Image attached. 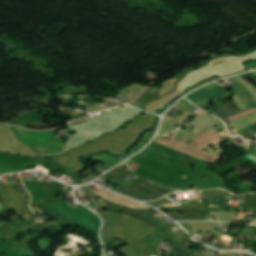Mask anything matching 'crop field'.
I'll return each instance as SVG.
<instances>
[{
  "label": "crop field",
  "mask_w": 256,
  "mask_h": 256,
  "mask_svg": "<svg viewBox=\"0 0 256 256\" xmlns=\"http://www.w3.org/2000/svg\"><path fill=\"white\" fill-rule=\"evenodd\" d=\"M47 205L50 206L53 210L76 220L84 226H87L95 233L98 232L100 219L87 208L81 206L75 209L64 202H54Z\"/></svg>",
  "instance_id": "8a807250"
},
{
  "label": "crop field",
  "mask_w": 256,
  "mask_h": 256,
  "mask_svg": "<svg viewBox=\"0 0 256 256\" xmlns=\"http://www.w3.org/2000/svg\"><path fill=\"white\" fill-rule=\"evenodd\" d=\"M163 154H166L169 157H166ZM139 155L154 158L179 171L187 164L189 160L185 158V155L179 154L155 142H152L151 145L143 150L141 153H139Z\"/></svg>",
  "instance_id": "ac0d7876"
},
{
  "label": "crop field",
  "mask_w": 256,
  "mask_h": 256,
  "mask_svg": "<svg viewBox=\"0 0 256 256\" xmlns=\"http://www.w3.org/2000/svg\"><path fill=\"white\" fill-rule=\"evenodd\" d=\"M177 190L160 188L159 186L139 178L123 194L138 200H156Z\"/></svg>",
  "instance_id": "34b2d1b8"
},
{
  "label": "crop field",
  "mask_w": 256,
  "mask_h": 256,
  "mask_svg": "<svg viewBox=\"0 0 256 256\" xmlns=\"http://www.w3.org/2000/svg\"><path fill=\"white\" fill-rule=\"evenodd\" d=\"M217 87L219 86L216 83H214L212 85L206 86L202 89L193 92L186 98L199 107L209 101L231 94L227 93L223 89L219 90Z\"/></svg>",
  "instance_id": "412701ff"
},
{
  "label": "crop field",
  "mask_w": 256,
  "mask_h": 256,
  "mask_svg": "<svg viewBox=\"0 0 256 256\" xmlns=\"http://www.w3.org/2000/svg\"><path fill=\"white\" fill-rule=\"evenodd\" d=\"M235 85L231 86L235 94L242 101V103L246 106L247 109L256 107V101L253 97L247 92V90L243 87V85L238 81L237 78L232 79ZM233 98V101L238 105L241 110H245V106L241 103V101L237 98V96Z\"/></svg>",
  "instance_id": "f4fd0767"
},
{
  "label": "crop field",
  "mask_w": 256,
  "mask_h": 256,
  "mask_svg": "<svg viewBox=\"0 0 256 256\" xmlns=\"http://www.w3.org/2000/svg\"><path fill=\"white\" fill-rule=\"evenodd\" d=\"M92 190L94 191L95 195H97L99 197H102V198H105L107 200H110V201H112L116 204H121V205H125V206H128V207H135V208H140V209L150 208L146 205H143V204H140L138 202L132 201L130 199L124 198L122 196H119L117 194H114L112 192L104 190L102 188H100L98 191L94 190V189H92Z\"/></svg>",
  "instance_id": "dd49c442"
},
{
  "label": "crop field",
  "mask_w": 256,
  "mask_h": 256,
  "mask_svg": "<svg viewBox=\"0 0 256 256\" xmlns=\"http://www.w3.org/2000/svg\"><path fill=\"white\" fill-rule=\"evenodd\" d=\"M256 112V108L252 109V110H249V111H246L244 113H240L238 115H235L231 118H229V121L232 122L234 120H237L239 118H242L244 116H247V115H250L252 113H255ZM256 123V113L255 114H252L250 116H247L245 118H242V119H239L237 121H234L232 122L231 124L233 125V127L235 129H237L238 131L250 126V125H253ZM249 128H252L254 130H256V124L253 125V126H250Z\"/></svg>",
  "instance_id": "e52e79f7"
},
{
  "label": "crop field",
  "mask_w": 256,
  "mask_h": 256,
  "mask_svg": "<svg viewBox=\"0 0 256 256\" xmlns=\"http://www.w3.org/2000/svg\"><path fill=\"white\" fill-rule=\"evenodd\" d=\"M232 104L231 103H229V102H227V103H225L224 105H222L221 107H219V108H217L219 111H216V112H214L215 114L216 113H218V112H220V111H222V110H224V109H226V108H228V107H230ZM237 113H240V111H238L236 108H229V109H227V110H225V111H223V112H221V113H219V114H217L221 119H223V118H226V117H229V116H232V115H235V114H237Z\"/></svg>",
  "instance_id": "d8731c3e"
},
{
  "label": "crop field",
  "mask_w": 256,
  "mask_h": 256,
  "mask_svg": "<svg viewBox=\"0 0 256 256\" xmlns=\"http://www.w3.org/2000/svg\"><path fill=\"white\" fill-rule=\"evenodd\" d=\"M162 233L160 231H155L151 233L144 241L152 248L156 247L158 243L162 241Z\"/></svg>",
  "instance_id": "5a996713"
},
{
  "label": "crop field",
  "mask_w": 256,
  "mask_h": 256,
  "mask_svg": "<svg viewBox=\"0 0 256 256\" xmlns=\"http://www.w3.org/2000/svg\"><path fill=\"white\" fill-rule=\"evenodd\" d=\"M153 135V132H145L139 143L132 148V150L128 153V155H131L135 153L136 151L140 150L142 147H144L151 139Z\"/></svg>",
  "instance_id": "3316defc"
},
{
  "label": "crop field",
  "mask_w": 256,
  "mask_h": 256,
  "mask_svg": "<svg viewBox=\"0 0 256 256\" xmlns=\"http://www.w3.org/2000/svg\"><path fill=\"white\" fill-rule=\"evenodd\" d=\"M158 88H154V87H149L146 91H144L138 98H136L131 105H134L136 107L139 108V106L141 105V101L144 98L145 95L147 94H155L157 93Z\"/></svg>",
  "instance_id": "28ad6ade"
},
{
  "label": "crop field",
  "mask_w": 256,
  "mask_h": 256,
  "mask_svg": "<svg viewBox=\"0 0 256 256\" xmlns=\"http://www.w3.org/2000/svg\"><path fill=\"white\" fill-rule=\"evenodd\" d=\"M92 158H94L96 160H99V161H102L104 163H107L109 165H115V164L121 162L118 159L112 158V157H110L106 154H99V155L93 156Z\"/></svg>",
  "instance_id": "d1516ede"
},
{
  "label": "crop field",
  "mask_w": 256,
  "mask_h": 256,
  "mask_svg": "<svg viewBox=\"0 0 256 256\" xmlns=\"http://www.w3.org/2000/svg\"><path fill=\"white\" fill-rule=\"evenodd\" d=\"M165 241L168 242L166 245H168L174 249L176 256H190L188 253H186L180 246H178L172 240L166 239Z\"/></svg>",
  "instance_id": "22f410ed"
},
{
  "label": "crop field",
  "mask_w": 256,
  "mask_h": 256,
  "mask_svg": "<svg viewBox=\"0 0 256 256\" xmlns=\"http://www.w3.org/2000/svg\"><path fill=\"white\" fill-rule=\"evenodd\" d=\"M41 208H43L45 211H47L48 213H50V214H52V215H55V216H57V217H59V218H61V219H63V220H65V221H67V222H69V223H71V224H76L77 222L76 221H74V220H72V219H70V218H68V217H65V216H63V215H61V214H59V213H57V212H55V211H53L52 209H50L48 206H46V205H44V206H41ZM77 224H79V223H77ZM80 225V224H79ZM82 226V225H81ZM91 232V231H90ZM97 238H98V236H97ZM99 239V238H98Z\"/></svg>",
  "instance_id": "cbeb9de0"
},
{
  "label": "crop field",
  "mask_w": 256,
  "mask_h": 256,
  "mask_svg": "<svg viewBox=\"0 0 256 256\" xmlns=\"http://www.w3.org/2000/svg\"><path fill=\"white\" fill-rule=\"evenodd\" d=\"M145 216H147L149 219H151L153 222H155L158 226H160L162 229H164L165 231H167L169 228L166 227L164 224H162L161 222H159L158 220L154 219L152 216H150L148 213L145 214Z\"/></svg>",
  "instance_id": "5142ce71"
},
{
  "label": "crop field",
  "mask_w": 256,
  "mask_h": 256,
  "mask_svg": "<svg viewBox=\"0 0 256 256\" xmlns=\"http://www.w3.org/2000/svg\"><path fill=\"white\" fill-rule=\"evenodd\" d=\"M221 142H222V141H221ZM219 144H220V142H219V143H217V144H215V148H217V149H218V151H215V150H213V149H211V148H209V147H206L205 149H207V150H208V152H211V153H214V154H216V155L221 156V154H222V152H223V151H221V150H220V148H219Z\"/></svg>",
  "instance_id": "d9b57169"
},
{
  "label": "crop field",
  "mask_w": 256,
  "mask_h": 256,
  "mask_svg": "<svg viewBox=\"0 0 256 256\" xmlns=\"http://www.w3.org/2000/svg\"><path fill=\"white\" fill-rule=\"evenodd\" d=\"M121 174H122V172H120V171H118L116 169H114L111 172H109V175L112 176L114 179L117 178Z\"/></svg>",
  "instance_id": "733c2abd"
},
{
  "label": "crop field",
  "mask_w": 256,
  "mask_h": 256,
  "mask_svg": "<svg viewBox=\"0 0 256 256\" xmlns=\"http://www.w3.org/2000/svg\"><path fill=\"white\" fill-rule=\"evenodd\" d=\"M248 67L251 68V69H255L256 68V63L249 64Z\"/></svg>",
  "instance_id": "4a817a6b"
},
{
  "label": "crop field",
  "mask_w": 256,
  "mask_h": 256,
  "mask_svg": "<svg viewBox=\"0 0 256 256\" xmlns=\"http://www.w3.org/2000/svg\"><path fill=\"white\" fill-rule=\"evenodd\" d=\"M251 153L255 154L256 155V150H253Z\"/></svg>",
  "instance_id": "bc2a9ffb"
}]
</instances>
